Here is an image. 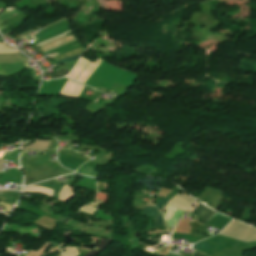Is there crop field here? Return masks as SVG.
Segmentation results:
<instances>
[{
  "label": "crop field",
  "mask_w": 256,
  "mask_h": 256,
  "mask_svg": "<svg viewBox=\"0 0 256 256\" xmlns=\"http://www.w3.org/2000/svg\"><path fill=\"white\" fill-rule=\"evenodd\" d=\"M219 235L244 242L256 241V229L235 220L229 223Z\"/></svg>",
  "instance_id": "1"
},
{
  "label": "crop field",
  "mask_w": 256,
  "mask_h": 256,
  "mask_svg": "<svg viewBox=\"0 0 256 256\" xmlns=\"http://www.w3.org/2000/svg\"><path fill=\"white\" fill-rule=\"evenodd\" d=\"M24 192H39V193H43L45 195H48L51 197L52 195V190H49L47 188H44V187H39V186H29V187H25L24 188Z\"/></svg>",
  "instance_id": "6"
},
{
  "label": "crop field",
  "mask_w": 256,
  "mask_h": 256,
  "mask_svg": "<svg viewBox=\"0 0 256 256\" xmlns=\"http://www.w3.org/2000/svg\"><path fill=\"white\" fill-rule=\"evenodd\" d=\"M188 196L184 193L182 195L177 194L168 203L187 211L196 202Z\"/></svg>",
  "instance_id": "2"
},
{
  "label": "crop field",
  "mask_w": 256,
  "mask_h": 256,
  "mask_svg": "<svg viewBox=\"0 0 256 256\" xmlns=\"http://www.w3.org/2000/svg\"><path fill=\"white\" fill-rule=\"evenodd\" d=\"M167 256H178V255H174V254L169 253Z\"/></svg>",
  "instance_id": "16"
},
{
  "label": "crop field",
  "mask_w": 256,
  "mask_h": 256,
  "mask_svg": "<svg viewBox=\"0 0 256 256\" xmlns=\"http://www.w3.org/2000/svg\"><path fill=\"white\" fill-rule=\"evenodd\" d=\"M72 196H74L72 188L70 186L64 185L59 193V201L64 202Z\"/></svg>",
  "instance_id": "5"
},
{
  "label": "crop field",
  "mask_w": 256,
  "mask_h": 256,
  "mask_svg": "<svg viewBox=\"0 0 256 256\" xmlns=\"http://www.w3.org/2000/svg\"><path fill=\"white\" fill-rule=\"evenodd\" d=\"M69 71H66L64 69H61L59 71H57L56 73L50 75L52 78H60V77H64L66 74H68Z\"/></svg>",
  "instance_id": "8"
},
{
  "label": "crop field",
  "mask_w": 256,
  "mask_h": 256,
  "mask_svg": "<svg viewBox=\"0 0 256 256\" xmlns=\"http://www.w3.org/2000/svg\"><path fill=\"white\" fill-rule=\"evenodd\" d=\"M50 141L47 140H39L36 139L34 143H32L31 145L23 148V149H40V150H46V148L48 147Z\"/></svg>",
  "instance_id": "4"
},
{
  "label": "crop field",
  "mask_w": 256,
  "mask_h": 256,
  "mask_svg": "<svg viewBox=\"0 0 256 256\" xmlns=\"http://www.w3.org/2000/svg\"><path fill=\"white\" fill-rule=\"evenodd\" d=\"M195 249H210L207 243L194 244Z\"/></svg>",
  "instance_id": "10"
},
{
  "label": "crop field",
  "mask_w": 256,
  "mask_h": 256,
  "mask_svg": "<svg viewBox=\"0 0 256 256\" xmlns=\"http://www.w3.org/2000/svg\"><path fill=\"white\" fill-rule=\"evenodd\" d=\"M198 204H200V203H197L192 209H191V211L190 212H192V210L198 205ZM203 205V204H202ZM201 204L200 205H198L195 209H194V211L192 212V213H194L195 215H197V216H199L198 217V221L200 222V223H202V224H204L206 221H208V219L212 216V215H214L216 212H214V211H211V210H209L208 208H206V207H204V206H202ZM197 221V222H198Z\"/></svg>",
  "instance_id": "3"
},
{
  "label": "crop field",
  "mask_w": 256,
  "mask_h": 256,
  "mask_svg": "<svg viewBox=\"0 0 256 256\" xmlns=\"http://www.w3.org/2000/svg\"><path fill=\"white\" fill-rule=\"evenodd\" d=\"M51 242H52V241H51ZM52 243H54V244H53L54 247H56V248H58V249H60V250H61L62 247H63V245H61V244H59V243H56V242H52Z\"/></svg>",
  "instance_id": "13"
},
{
  "label": "crop field",
  "mask_w": 256,
  "mask_h": 256,
  "mask_svg": "<svg viewBox=\"0 0 256 256\" xmlns=\"http://www.w3.org/2000/svg\"><path fill=\"white\" fill-rule=\"evenodd\" d=\"M3 163H4V160H0V171H1V168L3 166Z\"/></svg>",
  "instance_id": "15"
},
{
  "label": "crop field",
  "mask_w": 256,
  "mask_h": 256,
  "mask_svg": "<svg viewBox=\"0 0 256 256\" xmlns=\"http://www.w3.org/2000/svg\"><path fill=\"white\" fill-rule=\"evenodd\" d=\"M168 201V199H164V198H162L160 201H158L155 205H156V207L159 209V211H160V209L165 205V203Z\"/></svg>",
  "instance_id": "12"
},
{
  "label": "crop field",
  "mask_w": 256,
  "mask_h": 256,
  "mask_svg": "<svg viewBox=\"0 0 256 256\" xmlns=\"http://www.w3.org/2000/svg\"><path fill=\"white\" fill-rule=\"evenodd\" d=\"M163 223V217L161 216V214L159 213V215L156 217L154 225L156 226H162Z\"/></svg>",
  "instance_id": "11"
},
{
  "label": "crop field",
  "mask_w": 256,
  "mask_h": 256,
  "mask_svg": "<svg viewBox=\"0 0 256 256\" xmlns=\"http://www.w3.org/2000/svg\"><path fill=\"white\" fill-rule=\"evenodd\" d=\"M157 210L155 207H145L142 211V213H148L147 216L148 217H153L155 218L156 214H157Z\"/></svg>",
  "instance_id": "7"
},
{
  "label": "crop field",
  "mask_w": 256,
  "mask_h": 256,
  "mask_svg": "<svg viewBox=\"0 0 256 256\" xmlns=\"http://www.w3.org/2000/svg\"><path fill=\"white\" fill-rule=\"evenodd\" d=\"M194 256H204V254L195 251Z\"/></svg>",
  "instance_id": "14"
},
{
  "label": "crop field",
  "mask_w": 256,
  "mask_h": 256,
  "mask_svg": "<svg viewBox=\"0 0 256 256\" xmlns=\"http://www.w3.org/2000/svg\"><path fill=\"white\" fill-rule=\"evenodd\" d=\"M80 56H81V54L74 55V56H71V57H68V58H65V59H62V60L54 61V63L58 64V63H63V62L76 60V59H79Z\"/></svg>",
  "instance_id": "9"
}]
</instances>
